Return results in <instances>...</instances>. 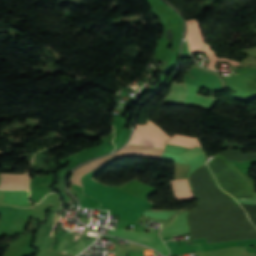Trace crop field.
Listing matches in <instances>:
<instances>
[{"label": "crop field", "instance_id": "obj_1", "mask_svg": "<svg viewBox=\"0 0 256 256\" xmlns=\"http://www.w3.org/2000/svg\"><path fill=\"white\" fill-rule=\"evenodd\" d=\"M190 183L199 199L188 216L192 239L205 237L210 243L256 238L244 210L216 187L205 165L191 175Z\"/></svg>", "mask_w": 256, "mask_h": 256}, {"label": "crop field", "instance_id": "obj_2", "mask_svg": "<svg viewBox=\"0 0 256 256\" xmlns=\"http://www.w3.org/2000/svg\"><path fill=\"white\" fill-rule=\"evenodd\" d=\"M196 67L200 68L199 66H196ZM198 68L194 67L193 69L190 70L189 74H186V76L184 78L186 83H190L193 85H199V86H201L205 89L211 90V91H219V90H221V83H220V80H221L222 90L225 91L224 81L217 73L200 68L206 72H209V73L217 76L220 80L217 77H215L209 73H206ZM187 85L185 84L186 95H187V91H188ZM188 89H189V92H188L187 99H186L187 104L211 108L212 105L214 104V102L217 100L212 97L196 95L197 91L200 89V87H198V86L188 85ZM186 95H185V98H186ZM185 98H184V104H185ZM187 106H189V105H187Z\"/></svg>", "mask_w": 256, "mask_h": 256}, {"label": "crop field", "instance_id": "obj_3", "mask_svg": "<svg viewBox=\"0 0 256 256\" xmlns=\"http://www.w3.org/2000/svg\"><path fill=\"white\" fill-rule=\"evenodd\" d=\"M169 138L157 126L148 121L145 125H136L133 137L128 144L164 149L165 142Z\"/></svg>", "mask_w": 256, "mask_h": 256}, {"label": "crop field", "instance_id": "obj_4", "mask_svg": "<svg viewBox=\"0 0 256 256\" xmlns=\"http://www.w3.org/2000/svg\"><path fill=\"white\" fill-rule=\"evenodd\" d=\"M108 233L110 235L119 236L127 239H131L146 245H149L165 256L168 254V249L164 244L159 240V238L153 233H140L134 231H127L125 229L112 230L109 229Z\"/></svg>", "mask_w": 256, "mask_h": 256}, {"label": "crop field", "instance_id": "obj_5", "mask_svg": "<svg viewBox=\"0 0 256 256\" xmlns=\"http://www.w3.org/2000/svg\"><path fill=\"white\" fill-rule=\"evenodd\" d=\"M27 174H2L0 189H27Z\"/></svg>", "mask_w": 256, "mask_h": 256}, {"label": "crop field", "instance_id": "obj_6", "mask_svg": "<svg viewBox=\"0 0 256 256\" xmlns=\"http://www.w3.org/2000/svg\"><path fill=\"white\" fill-rule=\"evenodd\" d=\"M170 182L177 200H188L194 198L188 186L187 179L170 180Z\"/></svg>", "mask_w": 256, "mask_h": 256}, {"label": "crop field", "instance_id": "obj_7", "mask_svg": "<svg viewBox=\"0 0 256 256\" xmlns=\"http://www.w3.org/2000/svg\"><path fill=\"white\" fill-rule=\"evenodd\" d=\"M184 92L185 90L182 84H176L173 82L164 104L184 105L182 102Z\"/></svg>", "mask_w": 256, "mask_h": 256}, {"label": "crop field", "instance_id": "obj_8", "mask_svg": "<svg viewBox=\"0 0 256 256\" xmlns=\"http://www.w3.org/2000/svg\"><path fill=\"white\" fill-rule=\"evenodd\" d=\"M6 203H18L28 205L27 191H5V201Z\"/></svg>", "mask_w": 256, "mask_h": 256}, {"label": "crop field", "instance_id": "obj_9", "mask_svg": "<svg viewBox=\"0 0 256 256\" xmlns=\"http://www.w3.org/2000/svg\"><path fill=\"white\" fill-rule=\"evenodd\" d=\"M227 159L237 162H243L251 159H256V153L242 154L241 150H229L221 153Z\"/></svg>", "mask_w": 256, "mask_h": 256}, {"label": "crop field", "instance_id": "obj_10", "mask_svg": "<svg viewBox=\"0 0 256 256\" xmlns=\"http://www.w3.org/2000/svg\"><path fill=\"white\" fill-rule=\"evenodd\" d=\"M167 143L182 145L190 148L196 145L200 146L198 139L186 137V136H180V135L173 136L171 139L168 140Z\"/></svg>", "mask_w": 256, "mask_h": 256}, {"label": "crop field", "instance_id": "obj_11", "mask_svg": "<svg viewBox=\"0 0 256 256\" xmlns=\"http://www.w3.org/2000/svg\"><path fill=\"white\" fill-rule=\"evenodd\" d=\"M170 249V255L169 256H175L183 253H188L192 251H203L201 244L197 245H182V246H172L167 245Z\"/></svg>", "mask_w": 256, "mask_h": 256}]
</instances>
